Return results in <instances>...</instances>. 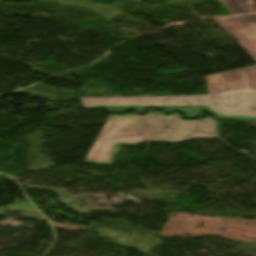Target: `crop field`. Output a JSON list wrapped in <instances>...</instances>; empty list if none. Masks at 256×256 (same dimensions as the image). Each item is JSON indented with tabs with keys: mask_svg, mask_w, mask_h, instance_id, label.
Wrapping results in <instances>:
<instances>
[{
	"mask_svg": "<svg viewBox=\"0 0 256 256\" xmlns=\"http://www.w3.org/2000/svg\"><path fill=\"white\" fill-rule=\"evenodd\" d=\"M101 107H107L108 108L107 112H114V111L123 112L130 108H134L137 110L138 113H143L144 107H151V106H95V107H85V108L98 109ZM155 107H159L165 110L167 113L173 112L174 110H179L182 113H187L186 118H194L197 115L203 116V114L200 113V110L207 109L208 111L215 113L216 116L225 118V119L237 118V119H243V120H249V121H256V117L219 115L208 106H155Z\"/></svg>",
	"mask_w": 256,
	"mask_h": 256,
	"instance_id": "34b2d1b8",
	"label": "crop field"
},
{
	"mask_svg": "<svg viewBox=\"0 0 256 256\" xmlns=\"http://www.w3.org/2000/svg\"><path fill=\"white\" fill-rule=\"evenodd\" d=\"M256 61V14L215 18ZM210 95L80 99L94 105H208L219 114L256 116V66L206 76ZM231 88V91L227 89Z\"/></svg>",
	"mask_w": 256,
	"mask_h": 256,
	"instance_id": "8a807250",
	"label": "crop field"
},
{
	"mask_svg": "<svg viewBox=\"0 0 256 256\" xmlns=\"http://www.w3.org/2000/svg\"><path fill=\"white\" fill-rule=\"evenodd\" d=\"M216 123L217 120L211 118L184 122L179 114L169 117L157 113L144 117L110 115L84 163L111 166L125 143L217 138Z\"/></svg>",
	"mask_w": 256,
	"mask_h": 256,
	"instance_id": "ac0d7876",
	"label": "crop field"
},
{
	"mask_svg": "<svg viewBox=\"0 0 256 256\" xmlns=\"http://www.w3.org/2000/svg\"><path fill=\"white\" fill-rule=\"evenodd\" d=\"M233 14L256 12L255 0H220Z\"/></svg>",
	"mask_w": 256,
	"mask_h": 256,
	"instance_id": "412701ff",
	"label": "crop field"
}]
</instances>
